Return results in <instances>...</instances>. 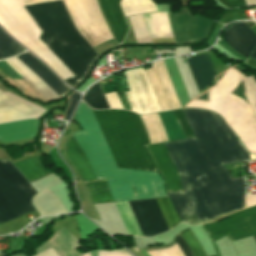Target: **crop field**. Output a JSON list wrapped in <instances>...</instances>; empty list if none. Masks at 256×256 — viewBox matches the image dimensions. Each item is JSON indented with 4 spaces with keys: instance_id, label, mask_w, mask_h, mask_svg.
I'll return each instance as SVG.
<instances>
[{
    "instance_id": "43",
    "label": "crop field",
    "mask_w": 256,
    "mask_h": 256,
    "mask_svg": "<svg viewBox=\"0 0 256 256\" xmlns=\"http://www.w3.org/2000/svg\"><path fill=\"white\" fill-rule=\"evenodd\" d=\"M246 63H248L249 65H251L253 68L256 69V62H254L252 59L249 58V59L246 61Z\"/></svg>"
},
{
    "instance_id": "11",
    "label": "crop field",
    "mask_w": 256,
    "mask_h": 256,
    "mask_svg": "<svg viewBox=\"0 0 256 256\" xmlns=\"http://www.w3.org/2000/svg\"><path fill=\"white\" fill-rule=\"evenodd\" d=\"M168 14L175 43L203 40L214 20L199 15L191 16L187 7L175 14Z\"/></svg>"
},
{
    "instance_id": "36",
    "label": "crop field",
    "mask_w": 256,
    "mask_h": 256,
    "mask_svg": "<svg viewBox=\"0 0 256 256\" xmlns=\"http://www.w3.org/2000/svg\"><path fill=\"white\" fill-rule=\"evenodd\" d=\"M242 19H247L245 12L244 11H236V12H232L230 14L225 15L220 22L223 24H227L230 23L234 20H242Z\"/></svg>"
},
{
    "instance_id": "44",
    "label": "crop field",
    "mask_w": 256,
    "mask_h": 256,
    "mask_svg": "<svg viewBox=\"0 0 256 256\" xmlns=\"http://www.w3.org/2000/svg\"><path fill=\"white\" fill-rule=\"evenodd\" d=\"M248 6L256 5V0H246Z\"/></svg>"
},
{
    "instance_id": "38",
    "label": "crop field",
    "mask_w": 256,
    "mask_h": 256,
    "mask_svg": "<svg viewBox=\"0 0 256 256\" xmlns=\"http://www.w3.org/2000/svg\"><path fill=\"white\" fill-rule=\"evenodd\" d=\"M174 239L176 240L178 246L181 248L185 256H193L189 247L187 246V244L185 243V241L183 240L179 233L176 234Z\"/></svg>"
},
{
    "instance_id": "6",
    "label": "crop field",
    "mask_w": 256,
    "mask_h": 256,
    "mask_svg": "<svg viewBox=\"0 0 256 256\" xmlns=\"http://www.w3.org/2000/svg\"><path fill=\"white\" fill-rule=\"evenodd\" d=\"M0 25L31 52L52 67L63 80L73 76L38 39L41 31L18 0H0Z\"/></svg>"
},
{
    "instance_id": "21",
    "label": "crop field",
    "mask_w": 256,
    "mask_h": 256,
    "mask_svg": "<svg viewBox=\"0 0 256 256\" xmlns=\"http://www.w3.org/2000/svg\"><path fill=\"white\" fill-rule=\"evenodd\" d=\"M187 60L199 90L204 89L208 83H212V75L215 73L208 55H199Z\"/></svg>"
},
{
    "instance_id": "8",
    "label": "crop field",
    "mask_w": 256,
    "mask_h": 256,
    "mask_svg": "<svg viewBox=\"0 0 256 256\" xmlns=\"http://www.w3.org/2000/svg\"><path fill=\"white\" fill-rule=\"evenodd\" d=\"M52 0H20L22 5ZM77 29L92 47L111 39L96 0H63Z\"/></svg>"
},
{
    "instance_id": "33",
    "label": "crop field",
    "mask_w": 256,
    "mask_h": 256,
    "mask_svg": "<svg viewBox=\"0 0 256 256\" xmlns=\"http://www.w3.org/2000/svg\"><path fill=\"white\" fill-rule=\"evenodd\" d=\"M245 96L256 115V83L253 74L244 79Z\"/></svg>"
},
{
    "instance_id": "9",
    "label": "crop field",
    "mask_w": 256,
    "mask_h": 256,
    "mask_svg": "<svg viewBox=\"0 0 256 256\" xmlns=\"http://www.w3.org/2000/svg\"><path fill=\"white\" fill-rule=\"evenodd\" d=\"M31 71H33L43 82H45L60 97L64 96L69 89L63 83L52 75L41 63H39L28 52L16 56ZM16 57L5 60L17 73H19L34 89H36L46 100L59 97L47 85H45L37 76H35L24 64Z\"/></svg>"
},
{
    "instance_id": "45",
    "label": "crop field",
    "mask_w": 256,
    "mask_h": 256,
    "mask_svg": "<svg viewBox=\"0 0 256 256\" xmlns=\"http://www.w3.org/2000/svg\"><path fill=\"white\" fill-rule=\"evenodd\" d=\"M90 254H91V256H97L96 251H91Z\"/></svg>"
},
{
    "instance_id": "7",
    "label": "crop field",
    "mask_w": 256,
    "mask_h": 256,
    "mask_svg": "<svg viewBox=\"0 0 256 256\" xmlns=\"http://www.w3.org/2000/svg\"><path fill=\"white\" fill-rule=\"evenodd\" d=\"M37 192L9 161L0 160V223L35 211Z\"/></svg>"
},
{
    "instance_id": "30",
    "label": "crop field",
    "mask_w": 256,
    "mask_h": 256,
    "mask_svg": "<svg viewBox=\"0 0 256 256\" xmlns=\"http://www.w3.org/2000/svg\"><path fill=\"white\" fill-rule=\"evenodd\" d=\"M129 235H141L127 202L115 203ZM142 236V235H141Z\"/></svg>"
},
{
    "instance_id": "10",
    "label": "crop field",
    "mask_w": 256,
    "mask_h": 256,
    "mask_svg": "<svg viewBox=\"0 0 256 256\" xmlns=\"http://www.w3.org/2000/svg\"><path fill=\"white\" fill-rule=\"evenodd\" d=\"M216 221L201 225L213 241L228 236L231 242L256 234V206ZM218 221V220H217Z\"/></svg>"
},
{
    "instance_id": "23",
    "label": "crop field",
    "mask_w": 256,
    "mask_h": 256,
    "mask_svg": "<svg viewBox=\"0 0 256 256\" xmlns=\"http://www.w3.org/2000/svg\"><path fill=\"white\" fill-rule=\"evenodd\" d=\"M142 16L151 38L172 37L166 13L155 12Z\"/></svg>"
},
{
    "instance_id": "25",
    "label": "crop field",
    "mask_w": 256,
    "mask_h": 256,
    "mask_svg": "<svg viewBox=\"0 0 256 256\" xmlns=\"http://www.w3.org/2000/svg\"><path fill=\"white\" fill-rule=\"evenodd\" d=\"M141 116L151 144L170 140L156 113Z\"/></svg>"
},
{
    "instance_id": "39",
    "label": "crop field",
    "mask_w": 256,
    "mask_h": 256,
    "mask_svg": "<svg viewBox=\"0 0 256 256\" xmlns=\"http://www.w3.org/2000/svg\"><path fill=\"white\" fill-rule=\"evenodd\" d=\"M220 3L224 4L229 8L245 6V0H219Z\"/></svg>"
},
{
    "instance_id": "24",
    "label": "crop field",
    "mask_w": 256,
    "mask_h": 256,
    "mask_svg": "<svg viewBox=\"0 0 256 256\" xmlns=\"http://www.w3.org/2000/svg\"><path fill=\"white\" fill-rule=\"evenodd\" d=\"M13 164L29 183L48 175L36 157H29Z\"/></svg>"
},
{
    "instance_id": "5",
    "label": "crop field",
    "mask_w": 256,
    "mask_h": 256,
    "mask_svg": "<svg viewBox=\"0 0 256 256\" xmlns=\"http://www.w3.org/2000/svg\"><path fill=\"white\" fill-rule=\"evenodd\" d=\"M243 77L229 69L209 92L211 104L192 101L186 107L204 108L220 114L250 154L256 155V117L247 105L230 94Z\"/></svg>"
},
{
    "instance_id": "14",
    "label": "crop field",
    "mask_w": 256,
    "mask_h": 256,
    "mask_svg": "<svg viewBox=\"0 0 256 256\" xmlns=\"http://www.w3.org/2000/svg\"><path fill=\"white\" fill-rule=\"evenodd\" d=\"M146 69L162 111L181 108L163 61Z\"/></svg>"
},
{
    "instance_id": "17",
    "label": "crop field",
    "mask_w": 256,
    "mask_h": 256,
    "mask_svg": "<svg viewBox=\"0 0 256 256\" xmlns=\"http://www.w3.org/2000/svg\"><path fill=\"white\" fill-rule=\"evenodd\" d=\"M223 38L233 49L246 58L249 57L256 44V35L245 22L229 26L225 30Z\"/></svg>"
},
{
    "instance_id": "27",
    "label": "crop field",
    "mask_w": 256,
    "mask_h": 256,
    "mask_svg": "<svg viewBox=\"0 0 256 256\" xmlns=\"http://www.w3.org/2000/svg\"><path fill=\"white\" fill-rule=\"evenodd\" d=\"M121 7L126 16L157 10L153 0H122Z\"/></svg>"
},
{
    "instance_id": "34",
    "label": "crop field",
    "mask_w": 256,
    "mask_h": 256,
    "mask_svg": "<svg viewBox=\"0 0 256 256\" xmlns=\"http://www.w3.org/2000/svg\"><path fill=\"white\" fill-rule=\"evenodd\" d=\"M185 138H191V137H194L189 125L187 124L181 110H175V111H172Z\"/></svg>"
},
{
    "instance_id": "16",
    "label": "crop field",
    "mask_w": 256,
    "mask_h": 256,
    "mask_svg": "<svg viewBox=\"0 0 256 256\" xmlns=\"http://www.w3.org/2000/svg\"><path fill=\"white\" fill-rule=\"evenodd\" d=\"M168 192L182 191L177 169L164 145V143L148 145Z\"/></svg>"
},
{
    "instance_id": "28",
    "label": "crop field",
    "mask_w": 256,
    "mask_h": 256,
    "mask_svg": "<svg viewBox=\"0 0 256 256\" xmlns=\"http://www.w3.org/2000/svg\"><path fill=\"white\" fill-rule=\"evenodd\" d=\"M25 50L0 30V60L22 53Z\"/></svg>"
},
{
    "instance_id": "18",
    "label": "crop field",
    "mask_w": 256,
    "mask_h": 256,
    "mask_svg": "<svg viewBox=\"0 0 256 256\" xmlns=\"http://www.w3.org/2000/svg\"><path fill=\"white\" fill-rule=\"evenodd\" d=\"M98 1L115 40L118 44L121 43L127 31V24L119 7L120 0Z\"/></svg>"
},
{
    "instance_id": "42",
    "label": "crop field",
    "mask_w": 256,
    "mask_h": 256,
    "mask_svg": "<svg viewBox=\"0 0 256 256\" xmlns=\"http://www.w3.org/2000/svg\"><path fill=\"white\" fill-rule=\"evenodd\" d=\"M253 31L256 33V27H252ZM254 60H256V46L251 54V56Z\"/></svg>"
},
{
    "instance_id": "19",
    "label": "crop field",
    "mask_w": 256,
    "mask_h": 256,
    "mask_svg": "<svg viewBox=\"0 0 256 256\" xmlns=\"http://www.w3.org/2000/svg\"><path fill=\"white\" fill-rule=\"evenodd\" d=\"M38 119H26L0 124V140L10 142L33 138Z\"/></svg>"
},
{
    "instance_id": "41",
    "label": "crop field",
    "mask_w": 256,
    "mask_h": 256,
    "mask_svg": "<svg viewBox=\"0 0 256 256\" xmlns=\"http://www.w3.org/2000/svg\"><path fill=\"white\" fill-rule=\"evenodd\" d=\"M36 256H58V254L52 248H50Z\"/></svg>"
},
{
    "instance_id": "26",
    "label": "crop field",
    "mask_w": 256,
    "mask_h": 256,
    "mask_svg": "<svg viewBox=\"0 0 256 256\" xmlns=\"http://www.w3.org/2000/svg\"><path fill=\"white\" fill-rule=\"evenodd\" d=\"M85 183L94 204L113 202L105 181Z\"/></svg>"
},
{
    "instance_id": "13",
    "label": "crop field",
    "mask_w": 256,
    "mask_h": 256,
    "mask_svg": "<svg viewBox=\"0 0 256 256\" xmlns=\"http://www.w3.org/2000/svg\"><path fill=\"white\" fill-rule=\"evenodd\" d=\"M143 236L168 230L155 199L128 202Z\"/></svg>"
},
{
    "instance_id": "1",
    "label": "crop field",
    "mask_w": 256,
    "mask_h": 256,
    "mask_svg": "<svg viewBox=\"0 0 256 256\" xmlns=\"http://www.w3.org/2000/svg\"><path fill=\"white\" fill-rule=\"evenodd\" d=\"M196 138L164 142L179 172L183 192L168 193L187 224L211 222L244 207L242 178L223 164L249 161L247 152L216 114L181 109Z\"/></svg>"
},
{
    "instance_id": "29",
    "label": "crop field",
    "mask_w": 256,
    "mask_h": 256,
    "mask_svg": "<svg viewBox=\"0 0 256 256\" xmlns=\"http://www.w3.org/2000/svg\"><path fill=\"white\" fill-rule=\"evenodd\" d=\"M91 108H109L99 83L94 84L84 95L83 99Z\"/></svg>"
},
{
    "instance_id": "15",
    "label": "crop field",
    "mask_w": 256,
    "mask_h": 256,
    "mask_svg": "<svg viewBox=\"0 0 256 256\" xmlns=\"http://www.w3.org/2000/svg\"><path fill=\"white\" fill-rule=\"evenodd\" d=\"M46 109L40 108L9 92L0 91V122L38 117Z\"/></svg>"
},
{
    "instance_id": "12",
    "label": "crop field",
    "mask_w": 256,
    "mask_h": 256,
    "mask_svg": "<svg viewBox=\"0 0 256 256\" xmlns=\"http://www.w3.org/2000/svg\"><path fill=\"white\" fill-rule=\"evenodd\" d=\"M130 92H125L131 109L137 113L161 111L147 73L142 68L126 71Z\"/></svg>"
},
{
    "instance_id": "4",
    "label": "crop field",
    "mask_w": 256,
    "mask_h": 256,
    "mask_svg": "<svg viewBox=\"0 0 256 256\" xmlns=\"http://www.w3.org/2000/svg\"><path fill=\"white\" fill-rule=\"evenodd\" d=\"M101 131L109 145L118 167L157 171L144 145L149 144L146 130L140 117L129 111L93 110Z\"/></svg>"
},
{
    "instance_id": "3",
    "label": "crop field",
    "mask_w": 256,
    "mask_h": 256,
    "mask_svg": "<svg viewBox=\"0 0 256 256\" xmlns=\"http://www.w3.org/2000/svg\"><path fill=\"white\" fill-rule=\"evenodd\" d=\"M24 8L42 31L39 39L75 75L65 80L75 87L99 56L75 29L61 0Z\"/></svg>"
},
{
    "instance_id": "37",
    "label": "crop field",
    "mask_w": 256,
    "mask_h": 256,
    "mask_svg": "<svg viewBox=\"0 0 256 256\" xmlns=\"http://www.w3.org/2000/svg\"><path fill=\"white\" fill-rule=\"evenodd\" d=\"M80 94L78 93H73L70 97H69V107L67 109L66 112V117H65V121H68L76 104L78 103L79 99H80Z\"/></svg>"
},
{
    "instance_id": "35",
    "label": "crop field",
    "mask_w": 256,
    "mask_h": 256,
    "mask_svg": "<svg viewBox=\"0 0 256 256\" xmlns=\"http://www.w3.org/2000/svg\"><path fill=\"white\" fill-rule=\"evenodd\" d=\"M151 256H184L177 244L163 250L148 252Z\"/></svg>"
},
{
    "instance_id": "31",
    "label": "crop field",
    "mask_w": 256,
    "mask_h": 256,
    "mask_svg": "<svg viewBox=\"0 0 256 256\" xmlns=\"http://www.w3.org/2000/svg\"><path fill=\"white\" fill-rule=\"evenodd\" d=\"M159 207L161 209V212L164 216V219L166 221V224L168 228H173L175 225L179 224L181 221L179 217L175 214L171 203L169 201V198H162V199H156Z\"/></svg>"
},
{
    "instance_id": "20",
    "label": "crop field",
    "mask_w": 256,
    "mask_h": 256,
    "mask_svg": "<svg viewBox=\"0 0 256 256\" xmlns=\"http://www.w3.org/2000/svg\"><path fill=\"white\" fill-rule=\"evenodd\" d=\"M65 151L67 157L78 172L81 181L96 180L85 154L72 135L66 144Z\"/></svg>"
},
{
    "instance_id": "32",
    "label": "crop field",
    "mask_w": 256,
    "mask_h": 256,
    "mask_svg": "<svg viewBox=\"0 0 256 256\" xmlns=\"http://www.w3.org/2000/svg\"><path fill=\"white\" fill-rule=\"evenodd\" d=\"M179 233L181 234V236L184 238V240L186 241V243L188 244V246L192 250L194 256H205L198 240L196 239V237L190 231L189 228H187V229H185V230H183ZM213 247H214V249L217 253V255H214V256H220L214 243H213Z\"/></svg>"
},
{
    "instance_id": "46",
    "label": "crop field",
    "mask_w": 256,
    "mask_h": 256,
    "mask_svg": "<svg viewBox=\"0 0 256 256\" xmlns=\"http://www.w3.org/2000/svg\"><path fill=\"white\" fill-rule=\"evenodd\" d=\"M253 237H254V239H255V241H256V235H254Z\"/></svg>"
},
{
    "instance_id": "40",
    "label": "crop field",
    "mask_w": 256,
    "mask_h": 256,
    "mask_svg": "<svg viewBox=\"0 0 256 256\" xmlns=\"http://www.w3.org/2000/svg\"><path fill=\"white\" fill-rule=\"evenodd\" d=\"M256 205V195H246V208Z\"/></svg>"
},
{
    "instance_id": "22",
    "label": "crop field",
    "mask_w": 256,
    "mask_h": 256,
    "mask_svg": "<svg viewBox=\"0 0 256 256\" xmlns=\"http://www.w3.org/2000/svg\"><path fill=\"white\" fill-rule=\"evenodd\" d=\"M60 256H81L77 249L78 240L65 228H61L47 241Z\"/></svg>"
},
{
    "instance_id": "2",
    "label": "crop field",
    "mask_w": 256,
    "mask_h": 256,
    "mask_svg": "<svg viewBox=\"0 0 256 256\" xmlns=\"http://www.w3.org/2000/svg\"><path fill=\"white\" fill-rule=\"evenodd\" d=\"M75 115L83 131L73 137L85 151L97 179H106L111 192L164 188L158 173L117 168L91 108L82 101ZM111 194L115 202L168 197L165 189Z\"/></svg>"
}]
</instances>
